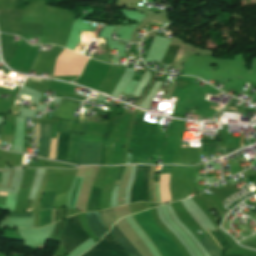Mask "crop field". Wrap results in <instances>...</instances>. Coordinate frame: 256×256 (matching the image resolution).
<instances>
[{
    "mask_svg": "<svg viewBox=\"0 0 256 256\" xmlns=\"http://www.w3.org/2000/svg\"><path fill=\"white\" fill-rule=\"evenodd\" d=\"M77 138L78 136L76 135H70V139H69V135L58 134V140L56 139L57 140L56 158L66 161L68 139H69L67 161L73 163L76 144H77ZM81 140H82V136H79L76 155H75V161H74V163L76 164H78L79 147H80ZM100 146L101 144L82 142L81 148H80L79 164H99Z\"/></svg>",
    "mask_w": 256,
    "mask_h": 256,
    "instance_id": "8a807250",
    "label": "crop field"
},
{
    "mask_svg": "<svg viewBox=\"0 0 256 256\" xmlns=\"http://www.w3.org/2000/svg\"><path fill=\"white\" fill-rule=\"evenodd\" d=\"M132 217L162 256H183L176 244L154 223L149 209Z\"/></svg>",
    "mask_w": 256,
    "mask_h": 256,
    "instance_id": "ac0d7876",
    "label": "crop field"
},
{
    "mask_svg": "<svg viewBox=\"0 0 256 256\" xmlns=\"http://www.w3.org/2000/svg\"><path fill=\"white\" fill-rule=\"evenodd\" d=\"M149 168L150 166L136 165L131 203L139 201L148 202L149 194L147 190V183Z\"/></svg>",
    "mask_w": 256,
    "mask_h": 256,
    "instance_id": "34b2d1b8",
    "label": "crop field"
},
{
    "mask_svg": "<svg viewBox=\"0 0 256 256\" xmlns=\"http://www.w3.org/2000/svg\"><path fill=\"white\" fill-rule=\"evenodd\" d=\"M82 256H129L109 233L91 250Z\"/></svg>",
    "mask_w": 256,
    "mask_h": 256,
    "instance_id": "412701ff",
    "label": "crop field"
},
{
    "mask_svg": "<svg viewBox=\"0 0 256 256\" xmlns=\"http://www.w3.org/2000/svg\"><path fill=\"white\" fill-rule=\"evenodd\" d=\"M89 237L79 225L77 215L69 217L64 229L59 237V240L80 245ZM58 239V238H57Z\"/></svg>",
    "mask_w": 256,
    "mask_h": 256,
    "instance_id": "f4fd0767",
    "label": "crop field"
},
{
    "mask_svg": "<svg viewBox=\"0 0 256 256\" xmlns=\"http://www.w3.org/2000/svg\"><path fill=\"white\" fill-rule=\"evenodd\" d=\"M86 221L94 235L100 240L108 231L103 226L98 212L85 213Z\"/></svg>",
    "mask_w": 256,
    "mask_h": 256,
    "instance_id": "dd49c442",
    "label": "crop field"
},
{
    "mask_svg": "<svg viewBox=\"0 0 256 256\" xmlns=\"http://www.w3.org/2000/svg\"><path fill=\"white\" fill-rule=\"evenodd\" d=\"M51 124H39V155L48 157Z\"/></svg>",
    "mask_w": 256,
    "mask_h": 256,
    "instance_id": "e52e79f7",
    "label": "crop field"
},
{
    "mask_svg": "<svg viewBox=\"0 0 256 256\" xmlns=\"http://www.w3.org/2000/svg\"><path fill=\"white\" fill-rule=\"evenodd\" d=\"M109 233L120 242V244L130 254V256H141L139 252L135 249V247L131 244V242L122 233V231L117 227L116 224H114L113 228Z\"/></svg>",
    "mask_w": 256,
    "mask_h": 256,
    "instance_id": "d8731c3e",
    "label": "crop field"
},
{
    "mask_svg": "<svg viewBox=\"0 0 256 256\" xmlns=\"http://www.w3.org/2000/svg\"><path fill=\"white\" fill-rule=\"evenodd\" d=\"M171 166H162L161 175H169ZM169 176H160V199L161 202L171 201L168 191Z\"/></svg>",
    "mask_w": 256,
    "mask_h": 256,
    "instance_id": "5a996713",
    "label": "crop field"
},
{
    "mask_svg": "<svg viewBox=\"0 0 256 256\" xmlns=\"http://www.w3.org/2000/svg\"><path fill=\"white\" fill-rule=\"evenodd\" d=\"M200 242L210 254V256H218L222 254L221 251L213 244V242L208 238L207 235H205L204 239Z\"/></svg>",
    "mask_w": 256,
    "mask_h": 256,
    "instance_id": "3316defc",
    "label": "crop field"
},
{
    "mask_svg": "<svg viewBox=\"0 0 256 256\" xmlns=\"http://www.w3.org/2000/svg\"><path fill=\"white\" fill-rule=\"evenodd\" d=\"M99 214H100V217H101L105 227L109 231V229L112 226V224L114 222H116V220H115V218L113 216V213H112V209L110 208V209L105 210V211H100Z\"/></svg>",
    "mask_w": 256,
    "mask_h": 256,
    "instance_id": "28ad6ade",
    "label": "crop field"
},
{
    "mask_svg": "<svg viewBox=\"0 0 256 256\" xmlns=\"http://www.w3.org/2000/svg\"><path fill=\"white\" fill-rule=\"evenodd\" d=\"M52 210L39 212L38 228L51 224Z\"/></svg>",
    "mask_w": 256,
    "mask_h": 256,
    "instance_id": "d1516ede",
    "label": "crop field"
},
{
    "mask_svg": "<svg viewBox=\"0 0 256 256\" xmlns=\"http://www.w3.org/2000/svg\"><path fill=\"white\" fill-rule=\"evenodd\" d=\"M101 189L93 188L88 210H97Z\"/></svg>",
    "mask_w": 256,
    "mask_h": 256,
    "instance_id": "22f410ed",
    "label": "crop field"
},
{
    "mask_svg": "<svg viewBox=\"0 0 256 256\" xmlns=\"http://www.w3.org/2000/svg\"><path fill=\"white\" fill-rule=\"evenodd\" d=\"M56 193H46L41 202V208H51L55 199Z\"/></svg>",
    "mask_w": 256,
    "mask_h": 256,
    "instance_id": "cbeb9de0",
    "label": "crop field"
},
{
    "mask_svg": "<svg viewBox=\"0 0 256 256\" xmlns=\"http://www.w3.org/2000/svg\"><path fill=\"white\" fill-rule=\"evenodd\" d=\"M33 205H34V200H29L27 209H31V211H32L33 210ZM27 211H30V210H27Z\"/></svg>",
    "mask_w": 256,
    "mask_h": 256,
    "instance_id": "5142ce71",
    "label": "crop field"
},
{
    "mask_svg": "<svg viewBox=\"0 0 256 256\" xmlns=\"http://www.w3.org/2000/svg\"><path fill=\"white\" fill-rule=\"evenodd\" d=\"M10 217H30V214H11Z\"/></svg>",
    "mask_w": 256,
    "mask_h": 256,
    "instance_id": "d9b57169",
    "label": "crop field"
},
{
    "mask_svg": "<svg viewBox=\"0 0 256 256\" xmlns=\"http://www.w3.org/2000/svg\"><path fill=\"white\" fill-rule=\"evenodd\" d=\"M54 142H55V140L51 141L50 157H52V158H53Z\"/></svg>",
    "mask_w": 256,
    "mask_h": 256,
    "instance_id": "733c2abd",
    "label": "crop field"
},
{
    "mask_svg": "<svg viewBox=\"0 0 256 256\" xmlns=\"http://www.w3.org/2000/svg\"><path fill=\"white\" fill-rule=\"evenodd\" d=\"M242 246L256 250V245H252V244L246 243V244H242Z\"/></svg>",
    "mask_w": 256,
    "mask_h": 256,
    "instance_id": "4a817a6b",
    "label": "crop field"
},
{
    "mask_svg": "<svg viewBox=\"0 0 256 256\" xmlns=\"http://www.w3.org/2000/svg\"><path fill=\"white\" fill-rule=\"evenodd\" d=\"M123 168H124V166L120 167L119 175H118V178H117L118 181L120 180L121 174L123 172Z\"/></svg>",
    "mask_w": 256,
    "mask_h": 256,
    "instance_id": "bc2a9ffb",
    "label": "crop field"
},
{
    "mask_svg": "<svg viewBox=\"0 0 256 256\" xmlns=\"http://www.w3.org/2000/svg\"><path fill=\"white\" fill-rule=\"evenodd\" d=\"M37 133H38V125H37ZM35 135H36V125H35ZM36 146H37V136H36Z\"/></svg>",
    "mask_w": 256,
    "mask_h": 256,
    "instance_id": "214f88e0",
    "label": "crop field"
},
{
    "mask_svg": "<svg viewBox=\"0 0 256 256\" xmlns=\"http://www.w3.org/2000/svg\"><path fill=\"white\" fill-rule=\"evenodd\" d=\"M0 195H4V196H6V195H7V193H6V192H1V191H0Z\"/></svg>",
    "mask_w": 256,
    "mask_h": 256,
    "instance_id": "92a150f3",
    "label": "crop field"
},
{
    "mask_svg": "<svg viewBox=\"0 0 256 256\" xmlns=\"http://www.w3.org/2000/svg\"><path fill=\"white\" fill-rule=\"evenodd\" d=\"M230 109H233V108H230ZM233 110H236V109H233Z\"/></svg>",
    "mask_w": 256,
    "mask_h": 256,
    "instance_id": "dafd665d",
    "label": "crop field"
}]
</instances>
